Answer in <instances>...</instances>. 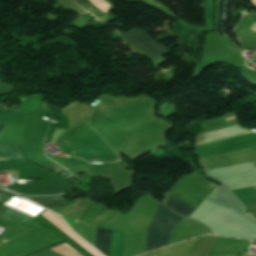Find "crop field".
Returning a JSON list of instances; mask_svg holds the SVG:
<instances>
[{
  "mask_svg": "<svg viewBox=\"0 0 256 256\" xmlns=\"http://www.w3.org/2000/svg\"><path fill=\"white\" fill-rule=\"evenodd\" d=\"M26 160L22 157L19 148L14 145L0 144V161Z\"/></svg>",
  "mask_w": 256,
  "mask_h": 256,
  "instance_id": "obj_5",
  "label": "crop field"
},
{
  "mask_svg": "<svg viewBox=\"0 0 256 256\" xmlns=\"http://www.w3.org/2000/svg\"><path fill=\"white\" fill-rule=\"evenodd\" d=\"M42 215L45 216L49 221H51L55 226H57L61 231L67 234L70 238H72L75 242L81 245L84 249H86L90 254H92L93 256H102L90 246H88L86 243H84L80 238L74 235L60 217L48 211H45Z\"/></svg>",
  "mask_w": 256,
  "mask_h": 256,
  "instance_id": "obj_4",
  "label": "crop field"
},
{
  "mask_svg": "<svg viewBox=\"0 0 256 256\" xmlns=\"http://www.w3.org/2000/svg\"><path fill=\"white\" fill-rule=\"evenodd\" d=\"M112 230L97 228L95 248L105 256H109L112 240ZM124 231H114L110 256H122Z\"/></svg>",
  "mask_w": 256,
  "mask_h": 256,
  "instance_id": "obj_2",
  "label": "crop field"
},
{
  "mask_svg": "<svg viewBox=\"0 0 256 256\" xmlns=\"http://www.w3.org/2000/svg\"><path fill=\"white\" fill-rule=\"evenodd\" d=\"M181 218L182 216L160 204L147 230L145 253L165 247L171 230Z\"/></svg>",
  "mask_w": 256,
  "mask_h": 256,
  "instance_id": "obj_1",
  "label": "crop field"
},
{
  "mask_svg": "<svg viewBox=\"0 0 256 256\" xmlns=\"http://www.w3.org/2000/svg\"><path fill=\"white\" fill-rule=\"evenodd\" d=\"M122 36L153 58L162 57L168 50L166 47L158 44L152 38L136 29Z\"/></svg>",
  "mask_w": 256,
  "mask_h": 256,
  "instance_id": "obj_3",
  "label": "crop field"
},
{
  "mask_svg": "<svg viewBox=\"0 0 256 256\" xmlns=\"http://www.w3.org/2000/svg\"><path fill=\"white\" fill-rule=\"evenodd\" d=\"M233 118V117H232ZM227 119H230V118H227ZM227 119H225V120H227ZM235 118H233V119H230V120H234ZM230 120H227V121H230Z\"/></svg>",
  "mask_w": 256,
  "mask_h": 256,
  "instance_id": "obj_10",
  "label": "crop field"
},
{
  "mask_svg": "<svg viewBox=\"0 0 256 256\" xmlns=\"http://www.w3.org/2000/svg\"><path fill=\"white\" fill-rule=\"evenodd\" d=\"M164 205L167 206L168 208H170L180 214L186 215L188 217L194 210L170 194H169Z\"/></svg>",
  "mask_w": 256,
  "mask_h": 256,
  "instance_id": "obj_6",
  "label": "crop field"
},
{
  "mask_svg": "<svg viewBox=\"0 0 256 256\" xmlns=\"http://www.w3.org/2000/svg\"><path fill=\"white\" fill-rule=\"evenodd\" d=\"M2 230H3V228H0V233H1ZM4 230H5V229H4ZM4 230H3V231H4Z\"/></svg>",
  "mask_w": 256,
  "mask_h": 256,
  "instance_id": "obj_11",
  "label": "crop field"
},
{
  "mask_svg": "<svg viewBox=\"0 0 256 256\" xmlns=\"http://www.w3.org/2000/svg\"><path fill=\"white\" fill-rule=\"evenodd\" d=\"M47 208L64 207L65 201L62 196L53 198H29Z\"/></svg>",
  "mask_w": 256,
  "mask_h": 256,
  "instance_id": "obj_8",
  "label": "crop field"
},
{
  "mask_svg": "<svg viewBox=\"0 0 256 256\" xmlns=\"http://www.w3.org/2000/svg\"><path fill=\"white\" fill-rule=\"evenodd\" d=\"M50 250H52L55 253H59V254L65 255V256H81L66 243L59 245L55 248H52ZM50 250H48L42 254L36 255V256H62V255L55 254V253L51 252Z\"/></svg>",
  "mask_w": 256,
  "mask_h": 256,
  "instance_id": "obj_7",
  "label": "crop field"
},
{
  "mask_svg": "<svg viewBox=\"0 0 256 256\" xmlns=\"http://www.w3.org/2000/svg\"><path fill=\"white\" fill-rule=\"evenodd\" d=\"M79 6L96 16L98 19L101 20L103 16V12L95 8L88 0H74ZM95 17V18H96Z\"/></svg>",
  "mask_w": 256,
  "mask_h": 256,
  "instance_id": "obj_9",
  "label": "crop field"
}]
</instances>
